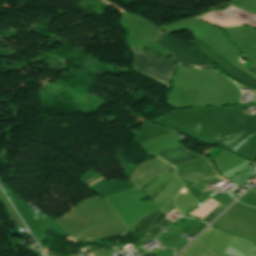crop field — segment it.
<instances>
[{
    "mask_svg": "<svg viewBox=\"0 0 256 256\" xmlns=\"http://www.w3.org/2000/svg\"><path fill=\"white\" fill-rule=\"evenodd\" d=\"M153 41L172 51L174 53L173 60L181 64L215 67L211 63L205 61L192 49H189L183 44L175 41L173 38H171L169 35L162 31L159 32V34L155 37Z\"/></svg>",
    "mask_w": 256,
    "mask_h": 256,
    "instance_id": "crop-field-2",
    "label": "crop field"
},
{
    "mask_svg": "<svg viewBox=\"0 0 256 256\" xmlns=\"http://www.w3.org/2000/svg\"><path fill=\"white\" fill-rule=\"evenodd\" d=\"M192 48L198 53L205 56L209 61L218 65L220 69H222L226 74L232 77L237 82L246 85L250 88L256 87V80L248 77L245 73L240 71L235 65L227 61L222 56L218 55L214 50L210 49L200 40L196 39Z\"/></svg>",
    "mask_w": 256,
    "mask_h": 256,
    "instance_id": "crop-field-1",
    "label": "crop field"
},
{
    "mask_svg": "<svg viewBox=\"0 0 256 256\" xmlns=\"http://www.w3.org/2000/svg\"><path fill=\"white\" fill-rule=\"evenodd\" d=\"M209 199V198H208ZM207 200V199H206ZM205 201V200H204Z\"/></svg>",
    "mask_w": 256,
    "mask_h": 256,
    "instance_id": "crop-field-10",
    "label": "crop field"
},
{
    "mask_svg": "<svg viewBox=\"0 0 256 256\" xmlns=\"http://www.w3.org/2000/svg\"><path fill=\"white\" fill-rule=\"evenodd\" d=\"M252 255L256 256V251L252 253Z\"/></svg>",
    "mask_w": 256,
    "mask_h": 256,
    "instance_id": "crop-field-8",
    "label": "crop field"
},
{
    "mask_svg": "<svg viewBox=\"0 0 256 256\" xmlns=\"http://www.w3.org/2000/svg\"><path fill=\"white\" fill-rule=\"evenodd\" d=\"M145 256H151V254L148 253V254H146Z\"/></svg>",
    "mask_w": 256,
    "mask_h": 256,
    "instance_id": "crop-field-9",
    "label": "crop field"
},
{
    "mask_svg": "<svg viewBox=\"0 0 256 256\" xmlns=\"http://www.w3.org/2000/svg\"><path fill=\"white\" fill-rule=\"evenodd\" d=\"M152 153L160 155V156L168 159L171 162L186 159V158H190V157H194L190 154L185 153L184 151H182L176 145L165 148V149H161V150H158V151H155V152H152Z\"/></svg>",
    "mask_w": 256,
    "mask_h": 256,
    "instance_id": "crop-field-5",
    "label": "crop field"
},
{
    "mask_svg": "<svg viewBox=\"0 0 256 256\" xmlns=\"http://www.w3.org/2000/svg\"><path fill=\"white\" fill-rule=\"evenodd\" d=\"M102 178H103V177H102ZM102 178H100V179H102ZM100 179H98V180H100ZM98 180L94 181L93 183L97 182ZM93 183H91V184H93ZM91 184H89V185H91ZM89 185H87V186H89Z\"/></svg>",
    "mask_w": 256,
    "mask_h": 256,
    "instance_id": "crop-field-7",
    "label": "crop field"
},
{
    "mask_svg": "<svg viewBox=\"0 0 256 256\" xmlns=\"http://www.w3.org/2000/svg\"><path fill=\"white\" fill-rule=\"evenodd\" d=\"M174 168L165 161L154 158L141 166L137 167L133 172L130 181L141 189L146 186L154 177L159 176Z\"/></svg>",
    "mask_w": 256,
    "mask_h": 256,
    "instance_id": "crop-field-4",
    "label": "crop field"
},
{
    "mask_svg": "<svg viewBox=\"0 0 256 256\" xmlns=\"http://www.w3.org/2000/svg\"><path fill=\"white\" fill-rule=\"evenodd\" d=\"M217 207V206H216ZM225 206L219 205L217 208H215L209 215L205 217V219L209 222L212 218H214L221 210H223Z\"/></svg>",
    "mask_w": 256,
    "mask_h": 256,
    "instance_id": "crop-field-6",
    "label": "crop field"
},
{
    "mask_svg": "<svg viewBox=\"0 0 256 256\" xmlns=\"http://www.w3.org/2000/svg\"><path fill=\"white\" fill-rule=\"evenodd\" d=\"M175 65L143 51L136 52V69L167 84Z\"/></svg>",
    "mask_w": 256,
    "mask_h": 256,
    "instance_id": "crop-field-3",
    "label": "crop field"
}]
</instances>
